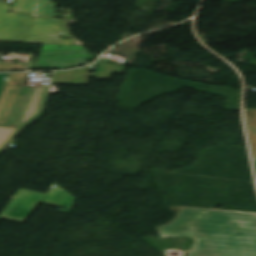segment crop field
Returning a JSON list of instances; mask_svg holds the SVG:
<instances>
[{"label": "crop field", "mask_w": 256, "mask_h": 256, "mask_svg": "<svg viewBox=\"0 0 256 256\" xmlns=\"http://www.w3.org/2000/svg\"><path fill=\"white\" fill-rule=\"evenodd\" d=\"M162 237L189 236L185 256H256V213L180 207Z\"/></svg>", "instance_id": "obj_1"}, {"label": "crop field", "mask_w": 256, "mask_h": 256, "mask_svg": "<svg viewBox=\"0 0 256 256\" xmlns=\"http://www.w3.org/2000/svg\"><path fill=\"white\" fill-rule=\"evenodd\" d=\"M6 1L0 0V41L80 45L60 38L69 34L63 20L53 19L57 4L51 0H15L14 13H7L11 4Z\"/></svg>", "instance_id": "obj_2"}, {"label": "crop field", "mask_w": 256, "mask_h": 256, "mask_svg": "<svg viewBox=\"0 0 256 256\" xmlns=\"http://www.w3.org/2000/svg\"><path fill=\"white\" fill-rule=\"evenodd\" d=\"M0 95V151L14 138L19 130L39 116L49 85H8Z\"/></svg>", "instance_id": "obj_3"}, {"label": "crop field", "mask_w": 256, "mask_h": 256, "mask_svg": "<svg viewBox=\"0 0 256 256\" xmlns=\"http://www.w3.org/2000/svg\"><path fill=\"white\" fill-rule=\"evenodd\" d=\"M74 199L55 184L46 195L20 189L0 214V219L23 223L38 202L71 209Z\"/></svg>", "instance_id": "obj_4"}, {"label": "crop field", "mask_w": 256, "mask_h": 256, "mask_svg": "<svg viewBox=\"0 0 256 256\" xmlns=\"http://www.w3.org/2000/svg\"><path fill=\"white\" fill-rule=\"evenodd\" d=\"M43 45L36 68H70L92 59L83 46Z\"/></svg>", "instance_id": "obj_5"}, {"label": "crop field", "mask_w": 256, "mask_h": 256, "mask_svg": "<svg viewBox=\"0 0 256 256\" xmlns=\"http://www.w3.org/2000/svg\"><path fill=\"white\" fill-rule=\"evenodd\" d=\"M95 71L89 74L87 67L68 72H55L52 84L88 85L89 75L96 79L110 78L113 73L122 74L127 68L125 66L110 63H95Z\"/></svg>", "instance_id": "obj_6"}, {"label": "crop field", "mask_w": 256, "mask_h": 256, "mask_svg": "<svg viewBox=\"0 0 256 256\" xmlns=\"http://www.w3.org/2000/svg\"><path fill=\"white\" fill-rule=\"evenodd\" d=\"M246 127L253 158H256V110H245Z\"/></svg>", "instance_id": "obj_7"}, {"label": "crop field", "mask_w": 256, "mask_h": 256, "mask_svg": "<svg viewBox=\"0 0 256 256\" xmlns=\"http://www.w3.org/2000/svg\"><path fill=\"white\" fill-rule=\"evenodd\" d=\"M6 74H7V73H0V88H1V86H2V84H3V81H4V79H5Z\"/></svg>", "instance_id": "obj_8"}, {"label": "crop field", "mask_w": 256, "mask_h": 256, "mask_svg": "<svg viewBox=\"0 0 256 256\" xmlns=\"http://www.w3.org/2000/svg\"><path fill=\"white\" fill-rule=\"evenodd\" d=\"M253 162H254L255 173H256V160H253Z\"/></svg>", "instance_id": "obj_9"}]
</instances>
